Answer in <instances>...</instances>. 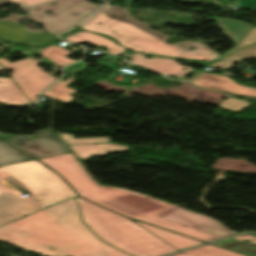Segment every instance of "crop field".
Listing matches in <instances>:
<instances>
[{"mask_svg":"<svg viewBox=\"0 0 256 256\" xmlns=\"http://www.w3.org/2000/svg\"><path fill=\"white\" fill-rule=\"evenodd\" d=\"M59 173L81 197L129 218L210 242L237 234L209 217L129 190L91 180L72 153L39 159Z\"/></svg>","mask_w":256,"mask_h":256,"instance_id":"crop-field-1","label":"crop field"},{"mask_svg":"<svg viewBox=\"0 0 256 256\" xmlns=\"http://www.w3.org/2000/svg\"><path fill=\"white\" fill-rule=\"evenodd\" d=\"M75 199L0 227V240L44 256H128L80 222Z\"/></svg>","mask_w":256,"mask_h":256,"instance_id":"crop-field-2","label":"crop field"},{"mask_svg":"<svg viewBox=\"0 0 256 256\" xmlns=\"http://www.w3.org/2000/svg\"><path fill=\"white\" fill-rule=\"evenodd\" d=\"M99 21L102 22L101 25L97 24ZM80 25L83 29L108 35L118 40L121 45L139 52L202 61H211L218 57L194 45L195 42H181L175 45L164 43L167 36L148 29L147 25L131 18L127 10L121 7L105 6ZM112 30L115 32H111ZM190 46L197 48L187 51Z\"/></svg>","mask_w":256,"mask_h":256,"instance_id":"crop-field-3","label":"crop field"},{"mask_svg":"<svg viewBox=\"0 0 256 256\" xmlns=\"http://www.w3.org/2000/svg\"><path fill=\"white\" fill-rule=\"evenodd\" d=\"M54 1L56 5H52ZM9 3H16L29 15H12L8 19L14 22L19 18L38 21L54 34L72 28L89 13L99 8L86 0H0V5ZM35 8L39 11H34ZM45 11L56 12L57 15L46 14ZM71 13H77L78 16ZM0 36L11 42H23L36 46H46L56 40L54 36L31 31L8 20L0 22Z\"/></svg>","mask_w":256,"mask_h":256,"instance_id":"crop-field-4","label":"crop field"},{"mask_svg":"<svg viewBox=\"0 0 256 256\" xmlns=\"http://www.w3.org/2000/svg\"><path fill=\"white\" fill-rule=\"evenodd\" d=\"M83 222L101 240L132 256H160L175 250L134 222L79 197Z\"/></svg>","mask_w":256,"mask_h":256,"instance_id":"crop-field-5","label":"crop field"},{"mask_svg":"<svg viewBox=\"0 0 256 256\" xmlns=\"http://www.w3.org/2000/svg\"><path fill=\"white\" fill-rule=\"evenodd\" d=\"M20 187L31 193V200L41 201L49 206L76 196L63 180L35 160L0 167V195Z\"/></svg>","mask_w":256,"mask_h":256,"instance_id":"crop-field-6","label":"crop field"},{"mask_svg":"<svg viewBox=\"0 0 256 256\" xmlns=\"http://www.w3.org/2000/svg\"><path fill=\"white\" fill-rule=\"evenodd\" d=\"M40 63L33 59L11 63L4 58H0V64L6 70L12 71L9 75L32 103L36 102V97L57 80L50 74L59 72L55 70L47 74L37 66Z\"/></svg>","mask_w":256,"mask_h":256,"instance_id":"crop-field-7","label":"crop field"},{"mask_svg":"<svg viewBox=\"0 0 256 256\" xmlns=\"http://www.w3.org/2000/svg\"><path fill=\"white\" fill-rule=\"evenodd\" d=\"M37 133L40 137L36 139H30L28 136L23 135L6 139L5 141L35 159L69 152L57 135H50L45 130Z\"/></svg>","mask_w":256,"mask_h":256,"instance_id":"crop-field-8","label":"crop field"},{"mask_svg":"<svg viewBox=\"0 0 256 256\" xmlns=\"http://www.w3.org/2000/svg\"><path fill=\"white\" fill-rule=\"evenodd\" d=\"M130 58L133 59L132 61H130L132 63H135L137 65H142L147 69L161 73L165 76H168V75L179 76L177 79H180V80H191L198 73H200L199 71H194L189 67L178 64L175 61V59H164V58L146 59V57L138 53L133 54L132 56H130ZM182 68L186 70L185 71L180 70ZM189 71L191 73H196V74L191 79L183 78L185 75L188 74Z\"/></svg>","mask_w":256,"mask_h":256,"instance_id":"crop-field-9","label":"crop field"},{"mask_svg":"<svg viewBox=\"0 0 256 256\" xmlns=\"http://www.w3.org/2000/svg\"><path fill=\"white\" fill-rule=\"evenodd\" d=\"M202 75L203 77L200 75L191 83L203 88L226 91L230 94L256 97V89L237 85L229 77L209 73H203Z\"/></svg>","mask_w":256,"mask_h":256,"instance_id":"crop-field-10","label":"crop field"},{"mask_svg":"<svg viewBox=\"0 0 256 256\" xmlns=\"http://www.w3.org/2000/svg\"><path fill=\"white\" fill-rule=\"evenodd\" d=\"M69 147L82 160L89 159L93 156L104 157L107 153L123 152L128 150V148L125 146H119L111 143L97 144V145L79 144V145H69Z\"/></svg>","mask_w":256,"mask_h":256,"instance_id":"crop-field-11","label":"crop field"},{"mask_svg":"<svg viewBox=\"0 0 256 256\" xmlns=\"http://www.w3.org/2000/svg\"><path fill=\"white\" fill-rule=\"evenodd\" d=\"M0 103L6 105L31 104L16 83L12 79L4 77H0Z\"/></svg>","mask_w":256,"mask_h":256,"instance_id":"crop-field-12","label":"crop field"},{"mask_svg":"<svg viewBox=\"0 0 256 256\" xmlns=\"http://www.w3.org/2000/svg\"><path fill=\"white\" fill-rule=\"evenodd\" d=\"M135 223H137L144 229L148 230L149 232L153 233L154 235L158 236L159 238L163 239L164 241H166L168 244H170L171 246H173L175 249L179 251L187 248H191L194 246H198L201 244H205V243H202L190 238H186V237H183L165 230H161L155 227H151L145 224H141L138 222H135Z\"/></svg>","mask_w":256,"mask_h":256,"instance_id":"crop-field-13","label":"crop field"},{"mask_svg":"<svg viewBox=\"0 0 256 256\" xmlns=\"http://www.w3.org/2000/svg\"><path fill=\"white\" fill-rule=\"evenodd\" d=\"M213 20L218 23L222 32L233 40L237 45L252 29L253 26L241 23L235 20L214 17Z\"/></svg>","mask_w":256,"mask_h":256,"instance_id":"crop-field-14","label":"crop field"},{"mask_svg":"<svg viewBox=\"0 0 256 256\" xmlns=\"http://www.w3.org/2000/svg\"><path fill=\"white\" fill-rule=\"evenodd\" d=\"M242 240H248L250 243H243ZM212 244L235 250L250 256H256V237L254 236H238Z\"/></svg>","mask_w":256,"mask_h":256,"instance_id":"crop-field-15","label":"crop field"},{"mask_svg":"<svg viewBox=\"0 0 256 256\" xmlns=\"http://www.w3.org/2000/svg\"><path fill=\"white\" fill-rule=\"evenodd\" d=\"M75 35H78L79 37H75ZM67 40L73 41V42L87 41V42H91L97 46L103 45V46L107 47V49L109 50L108 53H111L114 55H118V54L126 51L125 48L116 45L113 41H111L109 39H106L104 37L98 36L93 33L85 32V31L78 32V33L74 34L73 36L67 38Z\"/></svg>","mask_w":256,"mask_h":256,"instance_id":"crop-field-16","label":"crop field"},{"mask_svg":"<svg viewBox=\"0 0 256 256\" xmlns=\"http://www.w3.org/2000/svg\"><path fill=\"white\" fill-rule=\"evenodd\" d=\"M18 203L19 200L8 195L0 196V226L21 218V215L24 213L16 208Z\"/></svg>","mask_w":256,"mask_h":256,"instance_id":"crop-field-17","label":"crop field"},{"mask_svg":"<svg viewBox=\"0 0 256 256\" xmlns=\"http://www.w3.org/2000/svg\"><path fill=\"white\" fill-rule=\"evenodd\" d=\"M256 58V45H252L246 48L239 49L234 53L230 54L226 58L222 59L220 62L213 63L212 66L216 68L228 69L232 64L245 59H255Z\"/></svg>","mask_w":256,"mask_h":256,"instance_id":"crop-field-18","label":"crop field"},{"mask_svg":"<svg viewBox=\"0 0 256 256\" xmlns=\"http://www.w3.org/2000/svg\"><path fill=\"white\" fill-rule=\"evenodd\" d=\"M71 53L64 48L58 46H50L43 50L42 62L50 61L56 63L59 67L71 64L78 60L67 59L66 57Z\"/></svg>","mask_w":256,"mask_h":256,"instance_id":"crop-field-19","label":"crop field"},{"mask_svg":"<svg viewBox=\"0 0 256 256\" xmlns=\"http://www.w3.org/2000/svg\"><path fill=\"white\" fill-rule=\"evenodd\" d=\"M171 256H243L211 245L201 246Z\"/></svg>","mask_w":256,"mask_h":256,"instance_id":"crop-field-20","label":"crop field"},{"mask_svg":"<svg viewBox=\"0 0 256 256\" xmlns=\"http://www.w3.org/2000/svg\"><path fill=\"white\" fill-rule=\"evenodd\" d=\"M32 160V158L16 151L14 148L0 141V166Z\"/></svg>","mask_w":256,"mask_h":256,"instance_id":"crop-field-21","label":"crop field"},{"mask_svg":"<svg viewBox=\"0 0 256 256\" xmlns=\"http://www.w3.org/2000/svg\"><path fill=\"white\" fill-rule=\"evenodd\" d=\"M73 80H75V79L70 78L67 82L61 80L55 86H53L50 90H48L44 94V96L55 98L57 100L64 101V102H67V101L73 99V96L69 95V93H74L76 91L74 89H70V88L66 87Z\"/></svg>","mask_w":256,"mask_h":256,"instance_id":"crop-field-22","label":"crop field"},{"mask_svg":"<svg viewBox=\"0 0 256 256\" xmlns=\"http://www.w3.org/2000/svg\"><path fill=\"white\" fill-rule=\"evenodd\" d=\"M23 193H26V194L30 195V193L24 191L22 188L8 194L12 197H15V198L21 200L18 207H17L19 210L27 213V212L39 209L41 207L47 206L43 203H42V205H40V202H37V201H31L30 196L25 197V198L19 196Z\"/></svg>","mask_w":256,"mask_h":256,"instance_id":"crop-field-23","label":"crop field"},{"mask_svg":"<svg viewBox=\"0 0 256 256\" xmlns=\"http://www.w3.org/2000/svg\"><path fill=\"white\" fill-rule=\"evenodd\" d=\"M251 103L245 102L237 98H230L221 103L220 107L225 109H230L234 111H241L249 107Z\"/></svg>","mask_w":256,"mask_h":256,"instance_id":"crop-field-24","label":"crop field"},{"mask_svg":"<svg viewBox=\"0 0 256 256\" xmlns=\"http://www.w3.org/2000/svg\"><path fill=\"white\" fill-rule=\"evenodd\" d=\"M67 144H78V143H105L109 142L108 137L100 138H83V139H74L73 136L68 134L60 135ZM70 141V142H67Z\"/></svg>","mask_w":256,"mask_h":256,"instance_id":"crop-field-25","label":"crop field"},{"mask_svg":"<svg viewBox=\"0 0 256 256\" xmlns=\"http://www.w3.org/2000/svg\"><path fill=\"white\" fill-rule=\"evenodd\" d=\"M252 44H256V28L254 27L249 34L235 47L234 50L222 55L221 57H219L217 60H221L222 58H224L225 56L229 55L230 53H232L233 51L245 47V46H249ZM215 60V61H217Z\"/></svg>","mask_w":256,"mask_h":256,"instance_id":"crop-field-26","label":"crop field"},{"mask_svg":"<svg viewBox=\"0 0 256 256\" xmlns=\"http://www.w3.org/2000/svg\"><path fill=\"white\" fill-rule=\"evenodd\" d=\"M87 67V64L81 62L78 64L71 65L67 68H65V71L68 72L71 75H75L78 72L84 71V69Z\"/></svg>","mask_w":256,"mask_h":256,"instance_id":"crop-field-27","label":"crop field"},{"mask_svg":"<svg viewBox=\"0 0 256 256\" xmlns=\"http://www.w3.org/2000/svg\"><path fill=\"white\" fill-rule=\"evenodd\" d=\"M239 9L256 11V0H241Z\"/></svg>","mask_w":256,"mask_h":256,"instance_id":"crop-field-28","label":"crop field"},{"mask_svg":"<svg viewBox=\"0 0 256 256\" xmlns=\"http://www.w3.org/2000/svg\"><path fill=\"white\" fill-rule=\"evenodd\" d=\"M120 58L113 57V56H106L103 60L98 61L99 64H103L102 66H105L107 68H113V66L119 62ZM101 61H104V63H101ZM109 63H112L111 65Z\"/></svg>","mask_w":256,"mask_h":256,"instance_id":"crop-field-29","label":"crop field"},{"mask_svg":"<svg viewBox=\"0 0 256 256\" xmlns=\"http://www.w3.org/2000/svg\"><path fill=\"white\" fill-rule=\"evenodd\" d=\"M45 49V48H39V49H29V54H26V52L21 49V48H14L13 50L14 51H19V52H22L24 55H36V54H39L41 56V53H42V50ZM36 52L35 54H33L32 52Z\"/></svg>","mask_w":256,"mask_h":256,"instance_id":"crop-field-30","label":"crop field"},{"mask_svg":"<svg viewBox=\"0 0 256 256\" xmlns=\"http://www.w3.org/2000/svg\"><path fill=\"white\" fill-rule=\"evenodd\" d=\"M12 136H16V135L0 133V138H2V139L9 138V137H12Z\"/></svg>","mask_w":256,"mask_h":256,"instance_id":"crop-field-31","label":"crop field"},{"mask_svg":"<svg viewBox=\"0 0 256 256\" xmlns=\"http://www.w3.org/2000/svg\"><path fill=\"white\" fill-rule=\"evenodd\" d=\"M185 2H196L195 0H184Z\"/></svg>","mask_w":256,"mask_h":256,"instance_id":"crop-field-32","label":"crop field"},{"mask_svg":"<svg viewBox=\"0 0 256 256\" xmlns=\"http://www.w3.org/2000/svg\"><path fill=\"white\" fill-rule=\"evenodd\" d=\"M198 46H200V47H202V45L201 44H197ZM208 51H210V52H212L211 50H209V49H207ZM214 53V52H213ZM216 54V53H215Z\"/></svg>","mask_w":256,"mask_h":256,"instance_id":"crop-field-33","label":"crop field"},{"mask_svg":"<svg viewBox=\"0 0 256 256\" xmlns=\"http://www.w3.org/2000/svg\"><path fill=\"white\" fill-rule=\"evenodd\" d=\"M4 42H7V41L0 39V43H4Z\"/></svg>","mask_w":256,"mask_h":256,"instance_id":"crop-field-34","label":"crop field"},{"mask_svg":"<svg viewBox=\"0 0 256 256\" xmlns=\"http://www.w3.org/2000/svg\"><path fill=\"white\" fill-rule=\"evenodd\" d=\"M0 71H4V69L0 66Z\"/></svg>","mask_w":256,"mask_h":256,"instance_id":"crop-field-35","label":"crop field"}]
</instances>
